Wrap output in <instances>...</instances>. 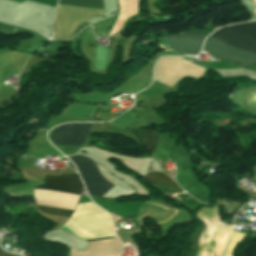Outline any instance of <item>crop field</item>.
I'll return each mask as SVG.
<instances>
[{
  "mask_svg": "<svg viewBox=\"0 0 256 256\" xmlns=\"http://www.w3.org/2000/svg\"><path fill=\"white\" fill-rule=\"evenodd\" d=\"M108 214L92 202L84 203L77 205L74 214L65 224L75 235L84 239L115 236L114 219Z\"/></svg>",
  "mask_w": 256,
  "mask_h": 256,
  "instance_id": "obj_1",
  "label": "crop field"
},
{
  "mask_svg": "<svg viewBox=\"0 0 256 256\" xmlns=\"http://www.w3.org/2000/svg\"><path fill=\"white\" fill-rule=\"evenodd\" d=\"M34 188L55 190L64 193L80 195V192L84 186L78 174H61V177L45 176V185Z\"/></svg>",
  "mask_w": 256,
  "mask_h": 256,
  "instance_id": "obj_8",
  "label": "crop field"
},
{
  "mask_svg": "<svg viewBox=\"0 0 256 256\" xmlns=\"http://www.w3.org/2000/svg\"><path fill=\"white\" fill-rule=\"evenodd\" d=\"M70 159L76 164L89 194L101 197L106 191L113 187V185L104 179L96 165L89 158L77 155Z\"/></svg>",
  "mask_w": 256,
  "mask_h": 256,
  "instance_id": "obj_4",
  "label": "crop field"
},
{
  "mask_svg": "<svg viewBox=\"0 0 256 256\" xmlns=\"http://www.w3.org/2000/svg\"><path fill=\"white\" fill-rule=\"evenodd\" d=\"M149 184L161 185V186H170L177 189H180L168 176L164 173L151 172L143 178ZM181 190V189H180Z\"/></svg>",
  "mask_w": 256,
  "mask_h": 256,
  "instance_id": "obj_10",
  "label": "crop field"
},
{
  "mask_svg": "<svg viewBox=\"0 0 256 256\" xmlns=\"http://www.w3.org/2000/svg\"><path fill=\"white\" fill-rule=\"evenodd\" d=\"M0 256H11V255H9L8 253L2 251L1 248H0Z\"/></svg>",
  "mask_w": 256,
  "mask_h": 256,
  "instance_id": "obj_15",
  "label": "crop field"
},
{
  "mask_svg": "<svg viewBox=\"0 0 256 256\" xmlns=\"http://www.w3.org/2000/svg\"><path fill=\"white\" fill-rule=\"evenodd\" d=\"M92 124H67L57 127L52 134L54 145L81 146Z\"/></svg>",
  "mask_w": 256,
  "mask_h": 256,
  "instance_id": "obj_6",
  "label": "crop field"
},
{
  "mask_svg": "<svg viewBox=\"0 0 256 256\" xmlns=\"http://www.w3.org/2000/svg\"><path fill=\"white\" fill-rule=\"evenodd\" d=\"M255 1V3H256V0H254Z\"/></svg>",
  "mask_w": 256,
  "mask_h": 256,
  "instance_id": "obj_16",
  "label": "crop field"
},
{
  "mask_svg": "<svg viewBox=\"0 0 256 256\" xmlns=\"http://www.w3.org/2000/svg\"><path fill=\"white\" fill-rule=\"evenodd\" d=\"M196 217L209 226L201 237L198 256H222L233 227L224 225L213 208H203Z\"/></svg>",
  "mask_w": 256,
  "mask_h": 256,
  "instance_id": "obj_2",
  "label": "crop field"
},
{
  "mask_svg": "<svg viewBox=\"0 0 256 256\" xmlns=\"http://www.w3.org/2000/svg\"><path fill=\"white\" fill-rule=\"evenodd\" d=\"M205 38L206 36L190 30L180 35L163 36L162 40L174 51L196 55L200 52L202 41Z\"/></svg>",
  "mask_w": 256,
  "mask_h": 256,
  "instance_id": "obj_7",
  "label": "crop field"
},
{
  "mask_svg": "<svg viewBox=\"0 0 256 256\" xmlns=\"http://www.w3.org/2000/svg\"><path fill=\"white\" fill-rule=\"evenodd\" d=\"M18 27H13L10 25H0V34L13 35L16 34Z\"/></svg>",
  "mask_w": 256,
  "mask_h": 256,
  "instance_id": "obj_14",
  "label": "crop field"
},
{
  "mask_svg": "<svg viewBox=\"0 0 256 256\" xmlns=\"http://www.w3.org/2000/svg\"><path fill=\"white\" fill-rule=\"evenodd\" d=\"M244 236H245V234L234 231L233 235L231 237L230 244H229L224 256H232V253H233L236 243L243 240Z\"/></svg>",
  "mask_w": 256,
  "mask_h": 256,
  "instance_id": "obj_12",
  "label": "crop field"
},
{
  "mask_svg": "<svg viewBox=\"0 0 256 256\" xmlns=\"http://www.w3.org/2000/svg\"><path fill=\"white\" fill-rule=\"evenodd\" d=\"M102 1V0H99ZM92 0H59L58 4L103 9L102 2Z\"/></svg>",
  "mask_w": 256,
  "mask_h": 256,
  "instance_id": "obj_11",
  "label": "crop field"
},
{
  "mask_svg": "<svg viewBox=\"0 0 256 256\" xmlns=\"http://www.w3.org/2000/svg\"><path fill=\"white\" fill-rule=\"evenodd\" d=\"M38 208L48 214L61 215L66 217H69L72 213L71 211H67V210L52 209V208H45V207H38Z\"/></svg>",
  "mask_w": 256,
  "mask_h": 256,
  "instance_id": "obj_13",
  "label": "crop field"
},
{
  "mask_svg": "<svg viewBox=\"0 0 256 256\" xmlns=\"http://www.w3.org/2000/svg\"><path fill=\"white\" fill-rule=\"evenodd\" d=\"M130 132L140 144L154 152L158 145V133L146 129H135L130 130Z\"/></svg>",
  "mask_w": 256,
  "mask_h": 256,
  "instance_id": "obj_9",
  "label": "crop field"
},
{
  "mask_svg": "<svg viewBox=\"0 0 256 256\" xmlns=\"http://www.w3.org/2000/svg\"><path fill=\"white\" fill-rule=\"evenodd\" d=\"M204 51L224 60L243 64L256 63V53H248L230 47L210 35L204 43Z\"/></svg>",
  "mask_w": 256,
  "mask_h": 256,
  "instance_id": "obj_5",
  "label": "crop field"
},
{
  "mask_svg": "<svg viewBox=\"0 0 256 256\" xmlns=\"http://www.w3.org/2000/svg\"><path fill=\"white\" fill-rule=\"evenodd\" d=\"M213 35L241 50L256 51V22L223 28L215 31Z\"/></svg>",
  "mask_w": 256,
  "mask_h": 256,
  "instance_id": "obj_3",
  "label": "crop field"
}]
</instances>
